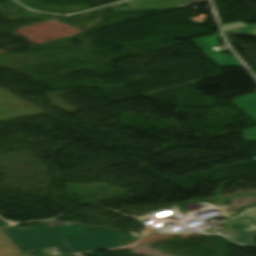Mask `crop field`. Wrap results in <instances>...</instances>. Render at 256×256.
<instances>
[{
  "label": "crop field",
  "mask_w": 256,
  "mask_h": 256,
  "mask_svg": "<svg viewBox=\"0 0 256 256\" xmlns=\"http://www.w3.org/2000/svg\"><path fill=\"white\" fill-rule=\"evenodd\" d=\"M224 225L228 228L225 234L227 238L231 239L236 243L250 246L245 229L255 228V226L248 223L238 215L233 217L229 222L225 223Z\"/></svg>",
  "instance_id": "crop-field-3"
},
{
  "label": "crop field",
  "mask_w": 256,
  "mask_h": 256,
  "mask_svg": "<svg viewBox=\"0 0 256 256\" xmlns=\"http://www.w3.org/2000/svg\"><path fill=\"white\" fill-rule=\"evenodd\" d=\"M0 256H22L21 252L0 230Z\"/></svg>",
  "instance_id": "crop-field-6"
},
{
  "label": "crop field",
  "mask_w": 256,
  "mask_h": 256,
  "mask_svg": "<svg viewBox=\"0 0 256 256\" xmlns=\"http://www.w3.org/2000/svg\"><path fill=\"white\" fill-rule=\"evenodd\" d=\"M151 1H157V0H130V1H126L125 3L128 4L132 8V10H136V9H153V8H165V7L177 6V5L183 4L186 0H171V1H164V2L135 6V4H138V3L151 2Z\"/></svg>",
  "instance_id": "crop-field-4"
},
{
  "label": "crop field",
  "mask_w": 256,
  "mask_h": 256,
  "mask_svg": "<svg viewBox=\"0 0 256 256\" xmlns=\"http://www.w3.org/2000/svg\"><path fill=\"white\" fill-rule=\"evenodd\" d=\"M242 132L246 141L256 140V127Z\"/></svg>",
  "instance_id": "crop-field-9"
},
{
  "label": "crop field",
  "mask_w": 256,
  "mask_h": 256,
  "mask_svg": "<svg viewBox=\"0 0 256 256\" xmlns=\"http://www.w3.org/2000/svg\"><path fill=\"white\" fill-rule=\"evenodd\" d=\"M2 225H6V223H4L3 221L0 220V226Z\"/></svg>",
  "instance_id": "crop-field-12"
},
{
  "label": "crop field",
  "mask_w": 256,
  "mask_h": 256,
  "mask_svg": "<svg viewBox=\"0 0 256 256\" xmlns=\"http://www.w3.org/2000/svg\"><path fill=\"white\" fill-rule=\"evenodd\" d=\"M247 235L250 241V245L256 247L255 239H256V229L246 230Z\"/></svg>",
  "instance_id": "crop-field-10"
},
{
  "label": "crop field",
  "mask_w": 256,
  "mask_h": 256,
  "mask_svg": "<svg viewBox=\"0 0 256 256\" xmlns=\"http://www.w3.org/2000/svg\"><path fill=\"white\" fill-rule=\"evenodd\" d=\"M63 256H78V255L70 254V255H63Z\"/></svg>",
  "instance_id": "crop-field-13"
},
{
  "label": "crop field",
  "mask_w": 256,
  "mask_h": 256,
  "mask_svg": "<svg viewBox=\"0 0 256 256\" xmlns=\"http://www.w3.org/2000/svg\"><path fill=\"white\" fill-rule=\"evenodd\" d=\"M238 215L243 217L248 222L256 225V207L248 208Z\"/></svg>",
  "instance_id": "crop-field-7"
},
{
  "label": "crop field",
  "mask_w": 256,
  "mask_h": 256,
  "mask_svg": "<svg viewBox=\"0 0 256 256\" xmlns=\"http://www.w3.org/2000/svg\"><path fill=\"white\" fill-rule=\"evenodd\" d=\"M224 33H241V34H249V35H256V24L251 26H246L230 31H226Z\"/></svg>",
  "instance_id": "crop-field-8"
},
{
  "label": "crop field",
  "mask_w": 256,
  "mask_h": 256,
  "mask_svg": "<svg viewBox=\"0 0 256 256\" xmlns=\"http://www.w3.org/2000/svg\"><path fill=\"white\" fill-rule=\"evenodd\" d=\"M242 26H246V24L239 22V23H234V24L223 25L222 28L224 31H226V30H230V29H234V28H238V27H242Z\"/></svg>",
  "instance_id": "crop-field-11"
},
{
  "label": "crop field",
  "mask_w": 256,
  "mask_h": 256,
  "mask_svg": "<svg viewBox=\"0 0 256 256\" xmlns=\"http://www.w3.org/2000/svg\"><path fill=\"white\" fill-rule=\"evenodd\" d=\"M233 101L256 120V93L235 98Z\"/></svg>",
  "instance_id": "crop-field-5"
},
{
  "label": "crop field",
  "mask_w": 256,
  "mask_h": 256,
  "mask_svg": "<svg viewBox=\"0 0 256 256\" xmlns=\"http://www.w3.org/2000/svg\"><path fill=\"white\" fill-rule=\"evenodd\" d=\"M254 74L256 75V72Z\"/></svg>",
  "instance_id": "crop-field-14"
},
{
  "label": "crop field",
  "mask_w": 256,
  "mask_h": 256,
  "mask_svg": "<svg viewBox=\"0 0 256 256\" xmlns=\"http://www.w3.org/2000/svg\"><path fill=\"white\" fill-rule=\"evenodd\" d=\"M218 37H221L220 33L209 36L207 38L195 39L193 42L201 47L205 55L219 67L242 66V64L235 57L221 54L212 48L213 46L220 44V42L217 40Z\"/></svg>",
  "instance_id": "crop-field-2"
},
{
  "label": "crop field",
  "mask_w": 256,
  "mask_h": 256,
  "mask_svg": "<svg viewBox=\"0 0 256 256\" xmlns=\"http://www.w3.org/2000/svg\"><path fill=\"white\" fill-rule=\"evenodd\" d=\"M23 252L55 247L60 254L123 245L126 235L109 227L70 223L50 227L46 221L27 228L4 227ZM4 231V232H5Z\"/></svg>",
  "instance_id": "crop-field-1"
}]
</instances>
